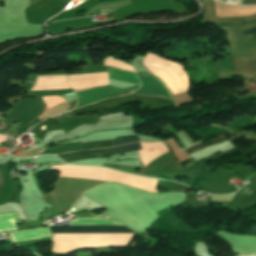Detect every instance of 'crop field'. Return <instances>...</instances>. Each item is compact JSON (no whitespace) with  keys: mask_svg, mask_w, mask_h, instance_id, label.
Instances as JSON below:
<instances>
[{"mask_svg":"<svg viewBox=\"0 0 256 256\" xmlns=\"http://www.w3.org/2000/svg\"><path fill=\"white\" fill-rule=\"evenodd\" d=\"M31 1V4H33V3H35V2H37V1H39V0H30ZM57 1H60V2H63V3H69L70 2V0H57Z\"/></svg>","mask_w":256,"mask_h":256,"instance_id":"11","label":"crop field"},{"mask_svg":"<svg viewBox=\"0 0 256 256\" xmlns=\"http://www.w3.org/2000/svg\"><path fill=\"white\" fill-rule=\"evenodd\" d=\"M3 188V175H2V169L0 167V193L2 191Z\"/></svg>","mask_w":256,"mask_h":256,"instance_id":"9","label":"crop field"},{"mask_svg":"<svg viewBox=\"0 0 256 256\" xmlns=\"http://www.w3.org/2000/svg\"><path fill=\"white\" fill-rule=\"evenodd\" d=\"M113 148H104L99 150H86L80 152H73L67 154L57 155L59 158L64 160L65 162L80 160L84 158H94V157H106L115 155Z\"/></svg>","mask_w":256,"mask_h":256,"instance_id":"2","label":"crop field"},{"mask_svg":"<svg viewBox=\"0 0 256 256\" xmlns=\"http://www.w3.org/2000/svg\"><path fill=\"white\" fill-rule=\"evenodd\" d=\"M70 224V221H69ZM71 225H121L118 222L102 218L76 219ZM52 233H123L133 232L125 226H49Z\"/></svg>","mask_w":256,"mask_h":256,"instance_id":"1","label":"crop field"},{"mask_svg":"<svg viewBox=\"0 0 256 256\" xmlns=\"http://www.w3.org/2000/svg\"><path fill=\"white\" fill-rule=\"evenodd\" d=\"M17 213L0 214V232L17 230Z\"/></svg>","mask_w":256,"mask_h":256,"instance_id":"4","label":"crop field"},{"mask_svg":"<svg viewBox=\"0 0 256 256\" xmlns=\"http://www.w3.org/2000/svg\"><path fill=\"white\" fill-rule=\"evenodd\" d=\"M247 4H256V0H247Z\"/></svg>","mask_w":256,"mask_h":256,"instance_id":"12","label":"crop field"},{"mask_svg":"<svg viewBox=\"0 0 256 256\" xmlns=\"http://www.w3.org/2000/svg\"><path fill=\"white\" fill-rule=\"evenodd\" d=\"M239 34H243V35H247V36H251V37H255L256 38V28H252V29L246 30V31L241 32Z\"/></svg>","mask_w":256,"mask_h":256,"instance_id":"8","label":"crop field"},{"mask_svg":"<svg viewBox=\"0 0 256 256\" xmlns=\"http://www.w3.org/2000/svg\"><path fill=\"white\" fill-rule=\"evenodd\" d=\"M225 140H228L227 137L222 135L219 138L213 140L212 142H209V143L203 142V143L197 144V145H195V146H193V147H191V148H189L185 151L190 155V154H192V153H194V152H196V151H198V150H200L204 147H207V146L212 145V144L220 143V142L225 141Z\"/></svg>","mask_w":256,"mask_h":256,"instance_id":"5","label":"crop field"},{"mask_svg":"<svg viewBox=\"0 0 256 256\" xmlns=\"http://www.w3.org/2000/svg\"><path fill=\"white\" fill-rule=\"evenodd\" d=\"M48 236H51L48 228L11 234L13 242L48 237Z\"/></svg>","mask_w":256,"mask_h":256,"instance_id":"3","label":"crop field"},{"mask_svg":"<svg viewBox=\"0 0 256 256\" xmlns=\"http://www.w3.org/2000/svg\"><path fill=\"white\" fill-rule=\"evenodd\" d=\"M104 166L106 167H110V168H115V169H120V170H124V171H128L131 173H136L135 168L136 167H127V166H115V165H107L105 164Z\"/></svg>","mask_w":256,"mask_h":256,"instance_id":"7","label":"crop field"},{"mask_svg":"<svg viewBox=\"0 0 256 256\" xmlns=\"http://www.w3.org/2000/svg\"><path fill=\"white\" fill-rule=\"evenodd\" d=\"M229 2L233 4H246V0H232Z\"/></svg>","mask_w":256,"mask_h":256,"instance_id":"10","label":"crop field"},{"mask_svg":"<svg viewBox=\"0 0 256 256\" xmlns=\"http://www.w3.org/2000/svg\"><path fill=\"white\" fill-rule=\"evenodd\" d=\"M114 140L110 141H102V142H94V143H86L82 144L84 149H90V148H104V147H110L113 145ZM82 150V149H80ZM77 151V150H73ZM67 152H72V151H67ZM61 153H66V152H61ZM61 153H56V154H61Z\"/></svg>","mask_w":256,"mask_h":256,"instance_id":"6","label":"crop field"}]
</instances>
